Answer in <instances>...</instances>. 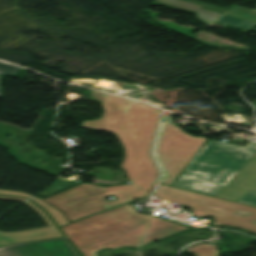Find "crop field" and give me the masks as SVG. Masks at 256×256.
I'll return each mask as SVG.
<instances>
[{
  "label": "crop field",
  "mask_w": 256,
  "mask_h": 256,
  "mask_svg": "<svg viewBox=\"0 0 256 256\" xmlns=\"http://www.w3.org/2000/svg\"><path fill=\"white\" fill-rule=\"evenodd\" d=\"M200 244H206V243H199V244H196V245H194V246H197V245H200ZM194 246H191V247H194ZM191 247H188V248H186L185 250H187V249H189V248H191ZM188 251V250H187Z\"/></svg>",
  "instance_id": "19"
},
{
  "label": "crop field",
  "mask_w": 256,
  "mask_h": 256,
  "mask_svg": "<svg viewBox=\"0 0 256 256\" xmlns=\"http://www.w3.org/2000/svg\"><path fill=\"white\" fill-rule=\"evenodd\" d=\"M0 194H6V195H18V196H24V197H29L30 195L22 193V192H17V191H9V190H1L0 189Z\"/></svg>",
  "instance_id": "15"
},
{
  "label": "crop field",
  "mask_w": 256,
  "mask_h": 256,
  "mask_svg": "<svg viewBox=\"0 0 256 256\" xmlns=\"http://www.w3.org/2000/svg\"><path fill=\"white\" fill-rule=\"evenodd\" d=\"M206 140L161 121L153 151L163 171L159 182L171 185Z\"/></svg>",
  "instance_id": "6"
},
{
  "label": "crop field",
  "mask_w": 256,
  "mask_h": 256,
  "mask_svg": "<svg viewBox=\"0 0 256 256\" xmlns=\"http://www.w3.org/2000/svg\"><path fill=\"white\" fill-rule=\"evenodd\" d=\"M108 195L114 199L103 200ZM146 195L131 184L102 187L81 183L44 200L61 209L68 220L73 221Z\"/></svg>",
  "instance_id": "4"
},
{
  "label": "crop field",
  "mask_w": 256,
  "mask_h": 256,
  "mask_svg": "<svg viewBox=\"0 0 256 256\" xmlns=\"http://www.w3.org/2000/svg\"><path fill=\"white\" fill-rule=\"evenodd\" d=\"M83 256H96V253H88V254H84Z\"/></svg>",
  "instance_id": "18"
},
{
  "label": "crop field",
  "mask_w": 256,
  "mask_h": 256,
  "mask_svg": "<svg viewBox=\"0 0 256 256\" xmlns=\"http://www.w3.org/2000/svg\"><path fill=\"white\" fill-rule=\"evenodd\" d=\"M207 141L173 186L236 201L256 190V148Z\"/></svg>",
  "instance_id": "2"
},
{
  "label": "crop field",
  "mask_w": 256,
  "mask_h": 256,
  "mask_svg": "<svg viewBox=\"0 0 256 256\" xmlns=\"http://www.w3.org/2000/svg\"><path fill=\"white\" fill-rule=\"evenodd\" d=\"M155 195L170 202L181 203L189 207L196 216L215 218L214 225L238 226L256 233V226L247 222L248 220L256 219L255 207L161 184L157 185ZM231 210H249L252 215L238 217L231 214Z\"/></svg>",
  "instance_id": "5"
},
{
  "label": "crop field",
  "mask_w": 256,
  "mask_h": 256,
  "mask_svg": "<svg viewBox=\"0 0 256 256\" xmlns=\"http://www.w3.org/2000/svg\"><path fill=\"white\" fill-rule=\"evenodd\" d=\"M19 66L0 62V73L13 74Z\"/></svg>",
  "instance_id": "14"
},
{
  "label": "crop field",
  "mask_w": 256,
  "mask_h": 256,
  "mask_svg": "<svg viewBox=\"0 0 256 256\" xmlns=\"http://www.w3.org/2000/svg\"><path fill=\"white\" fill-rule=\"evenodd\" d=\"M2 199H10V200H19L24 201L26 198H18V197H7V196H0Z\"/></svg>",
  "instance_id": "17"
},
{
  "label": "crop field",
  "mask_w": 256,
  "mask_h": 256,
  "mask_svg": "<svg viewBox=\"0 0 256 256\" xmlns=\"http://www.w3.org/2000/svg\"><path fill=\"white\" fill-rule=\"evenodd\" d=\"M91 96H92V98H94V99H96V100H98L92 93H91Z\"/></svg>",
  "instance_id": "21"
},
{
  "label": "crop field",
  "mask_w": 256,
  "mask_h": 256,
  "mask_svg": "<svg viewBox=\"0 0 256 256\" xmlns=\"http://www.w3.org/2000/svg\"><path fill=\"white\" fill-rule=\"evenodd\" d=\"M248 222H250V223L256 225V220H251V221H248Z\"/></svg>",
  "instance_id": "20"
},
{
  "label": "crop field",
  "mask_w": 256,
  "mask_h": 256,
  "mask_svg": "<svg viewBox=\"0 0 256 256\" xmlns=\"http://www.w3.org/2000/svg\"><path fill=\"white\" fill-rule=\"evenodd\" d=\"M81 252L138 247L189 227L160 216L142 214L126 204L60 227Z\"/></svg>",
  "instance_id": "3"
},
{
  "label": "crop field",
  "mask_w": 256,
  "mask_h": 256,
  "mask_svg": "<svg viewBox=\"0 0 256 256\" xmlns=\"http://www.w3.org/2000/svg\"><path fill=\"white\" fill-rule=\"evenodd\" d=\"M0 256H78L63 238L7 245L0 248Z\"/></svg>",
  "instance_id": "7"
},
{
  "label": "crop field",
  "mask_w": 256,
  "mask_h": 256,
  "mask_svg": "<svg viewBox=\"0 0 256 256\" xmlns=\"http://www.w3.org/2000/svg\"><path fill=\"white\" fill-rule=\"evenodd\" d=\"M93 94L101 101L104 114L97 120H83L81 126L114 133L124 147L120 168L131 184L149 194L158 177L150 149L160 109L96 91Z\"/></svg>",
  "instance_id": "1"
},
{
  "label": "crop field",
  "mask_w": 256,
  "mask_h": 256,
  "mask_svg": "<svg viewBox=\"0 0 256 256\" xmlns=\"http://www.w3.org/2000/svg\"><path fill=\"white\" fill-rule=\"evenodd\" d=\"M232 213L238 215V216H249L251 215L248 211H231Z\"/></svg>",
  "instance_id": "16"
},
{
  "label": "crop field",
  "mask_w": 256,
  "mask_h": 256,
  "mask_svg": "<svg viewBox=\"0 0 256 256\" xmlns=\"http://www.w3.org/2000/svg\"><path fill=\"white\" fill-rule=\"evenodd\" d=\"M154 1L163 3V4H167V5H171V6H175V7H179L182 9L189 10V11H193V12H195L198 19H200L208 24L210 22L216 20L217 18H219L222 14L198 9L199 6L203 5V6H207V7L217 9L220 11H224V12L228 11V9L208 5V4L193 1V0H154Z\"/></svg>",
  "instance_id": "9"
},
{
  "label": "crop field",
  "mask_w": 256,
  "mask_h": 256,
  "mask_svg": "<svg viewBox=\"0 0 256 256\" xmlns=\"http://www.w3.org/2000/svg\"><path fill=\"white\" fill-rule=\"evenodd\" d=\"M195 256H219L215 244L200 245L189 249Z\"/></svg>",
  "instance_id": "12"
},
{
  "label": "crop field",
  "mask_w": 256,
  "mask_h": 256,
  "mask_svg": "<svg viewBox=\"0 0 256 256\" xmlns=\"http://www.w3.org/2000/svg\"><path fill=\"white\" fill-rule=\"evenodd\" d=\"M25 203L40 215V217L43 219V221L46 223L48 227L36 228V229L25 230L20 232H11V233H4L0 231V246L5 244L63 235L62 233L61 235L60 232L56 229V227L51 222V220L47 217L44 211H42L39 207H37L35 204H33L29 200Z\"/></svg>",
  "instance_id": "8"
},
{
  "label": "crop field",
  "mask_w": 256,
  "mask_h": 256,
  "mask_svg": "<svg viewBox=\"0 0 256 256\" xmlns=\"http://www.w3.org/2000/svg\"><path fill=\"white\" fill-rule=\"evenodd\" d=\"M238 201L244 204L256 206V192L247 191Z\"/></svg>",
  "instance_id": "13"
},
{
  "label": "crop field",
  "mask_w": 256,
  "mask_h": 256,
  "mask_svg": "<svg viewBox=\"0 0 256 256\" xmlns=\"http://www.w3.org/2000/svg\"><path fill=\"white\" fill-rule=\"evenodd\" d=\"M33 202H35L38 206L42 207L44 210L47 211V213L54 219V221L60 225L67 223V220L62 215L61 211L57 210L56 208L52 207L48 203L34 197L31 199Z\"/></svg>",
  "instance_id": "11"
},
{
  "label": "crop field",
  "mask_w": 256,
  "mask_h": 256,
  "mask_svg": "<svg viewBox=\"0 0 256 256\" xmlns=\"http://www.w3.org/2000/svg\"><path fill=\"white\" fill-rule=\"evenodd\" d=\"M216 21L248 29L256 23V10L235 5Z\"/></svg>",
  "instance_id": "10"
}]
</instances>
